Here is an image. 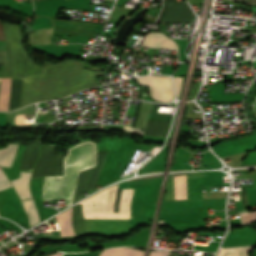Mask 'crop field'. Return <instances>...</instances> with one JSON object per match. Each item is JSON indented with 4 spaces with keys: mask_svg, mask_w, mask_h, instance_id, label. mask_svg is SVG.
Wrapping results in <instances>:
<instances>
[{
    "mask_svg": "<svg viewBox=\"0 0 256 256\" xmlns=\"http://www.w3.org/2000/svg\"><path fill=\"white\" fill-rule=\"evenodd\" d=\"M72 209L56 216L61 236L75 235L71 226Z\"/></svg>",
    "mask_w": 256,
    "mask_h": 256,
    "instance_id": "e52e79f7",
    "label": "crop field"
},
{
    "mask_svg": "<svg viewBox=\"0 0 256 256\" xmlns=\"http://www.w3.org/2000/svg\"><path fill=\"white\" fill-rule=\"evenodd\" d=\"M53 256H61V255H60V253H57V254H55V255H53Z\"/></svg>",
    "mask_w": 256,
    "mask_h": 256,
    "instance_id": "733c2abd",
    "label": "crop field"
},
{
    "mask_svg": "<svg viewBox=\"0 0 256 256\" xmlns=\"http://www.w3.org/2000/svg\"><path fill=\"white\" fill-rule=\"evenodd\" d=\"M174 81H175L176 95L178 97L179 91H180L181 82H182V77H174Z\"/></svg>",
    "mask_w": 256,
    "mask_h": 256,
    "instance_id": "cbeb9de0",
    "label": "crop field"
},
{
    "mask_svg": "<svg viewBox=\"0 0 256 256\" xmlns=\"http://www.w3.org/2000/svg\"><path fill=\"white\" fill-rule=\"evenodd\" d=\"M95 143L87 142L67 150L64 176L45 177L43 201L65 199V206L72 204L79 171L95 166Z\"/></svg>",
    "mask_w": 256,
    "mask_h": 256,
    "instance_id": "ac0d7876",
    "label": "crop field"
},
{
    "mask_svg": "<svg viewBox=\"0 0 256 256\" xmlns=\"http://www.w3.org/2000/svg\"><path fill=\"white\" fill-rule=\"evenodd\" d=\"M0 40H4L3 26L1 22H0Z\"/></svg>",
    "mask_w": 256,
    "mask_h": 256,
    "instance_id": "d9b57169",
    "label": "crop field"
},
{
    "mask_svg": "<svg viewBox=\"0 0 256 256\" xmlns=\"http://www.w3.org/2000/svg\"><path fill=\"white\" fill-rule=\"evenodd\" d=\"M140 85H148L150 96L159 102H169L173 98L171 77L145 76L136 77Z\"/></svg>",
    "mask_w": 256,
    "mask_h": 256,
    "instance_id": "34b2d1b8",
    "label": "crop field"
},
{
    "mask_svg": "<svg viewBox=\"0 0 256 256\" xmlns=\"http://www.w3.org/2000/svg\"><path fill=\"white\" fill-rule=\"evenodd\" d=\"M30 177L31 173L21 172L19 178L11 181L21 199L33 198L28 186Z\"/></svg>",
    "mask_w": 256,
    "mask_h": 256,
    "instance_id": "f4fd0767",
    "label": "crop field"
},
{
    "mask_svg": "<svg viewBox=\"0 0 256 256\" xmlns=\"http://www.w3.org/2000/svg\"><path fill=\"white\" fill-rule=\"evenodd\" d=\"M3 25L11 77H23L19 107L37 100L65 97L97 85L94 76L103 72L82 68V61L67 60L58 65L44 62L42 67L35 65L23 49L21 28L9 23Z\"/></svg>",
    "mask_w": 256,
    "mask_h": 256,
    "instance_id": "8a807250",
    "label": "crop field"
},
{
    "mask_svg": "<svg viewBox=\"0 0 256 256\" xmlns=\"http://www.w3.org/2000/svg\"><path fill=\"white\" fill-rule=\"evenodd\" d=\"M12 185L10 184L9 180L5 176V174L2 172L0 169V190L4 188L11 187Z\"/></svg>",
    "mask_w": 256,
    "mask_h": 256,
    "instance_id": "22f410ed",
    "label": "crop field"
},
{
    "mask_svg": "<svg viewBox=\"0 0 256 256\" xmlns=\"http://www.w3.org/2000/svg\"><path fill=\"white\" fill-rule=\"evenodd\" d=\"M167 251H151V256H166Z\"/></svg>",
    "mask_w": 256,
    "mask_h": 256,
    "instance_id": "5142ce71",
    "label": "crop field"
},
{
    "mask_svg": "<svg viewBox=\"0 0 256 256\" xmlns=\"http://www.w3.org/2000/svg\"><path fill=\"white\" fill-rule=\"evenodd\" d=\"M171 122L148 120L144 135L167 137Z\"/></svg>",
    "mask_w": 256,
    "mask_h": 256,
    "instance_id": "dd49c442",
    "label": "crop field"
},
{
    "mask_svg": "<svg viewBox=\"0 0 256 256\" xmlns=\"http://www.w3.org/2000/svg\"><path fill=\"white\" fill-rule=\"evenodd\" d=\"M28 215H29V219L31 222V226H34L35 224H37L38 222H40L39 217H38V213L35 207V203L33 199L30 200H24L22 201Z\"/></svg>",
    "mask_w": 256,
    "mask_h": 256,
    "instance_id": "d1516ede",
    "label": "crop field"
},
{
    "mask_svg": "<svg viewBox=\"0 0 256 256\" xmlns=\"http://www.w3.org/2000/svg\"><path fill=\"white\" fill-rule=\"evenodd\" d=\"M175 199H186V175L174 176Z\"/></svg>",
    "mask_w": 256,
    "mask_h": 256,
    "instance_id": "28ad6ade",
    "label": "crop field"
},
{
    "mask_svg": "<svg viewBox=\"0 0 256 256\" xmlns=\"http://www.w3.org/2000/svg\"><path fill=\"white\" fill-rule=\"evenodd\" d=\"M143 251L124 248L106 249L101 256H142Z\"/></svg>",
    "mask_w": 256,
    "mask_h": 256,
    "instance_id": "3316defc",
    "label": "crop field"
},
{
    "mask_svg": "<svg viewBox=\"0 0 256 256\" xmlns=\"http://www.w3.org/2000/svg\"><path fill=\"white\" fill-rule=\"evenodd\" d=\"M35 31L36 32L29 34V45L51 44L50 37L52 34V28Z\"/></svg>",
    "mask_w": 256,
    "mask_h": 256,
    "instance_id": "d8731c3e",
    "label": "crop field"
},
{
    "mask_svg": "<svg viewBox=\"0 0 256 256\" xmlns=\"http://www.w3.org/2000/svg\"><path fill=\"white\" fill-rule=\"evenodd\" d=\"M168 37V36H167ZM162 33L149 32L144 36V46L157 47V48H169L178 50L177 44L167 38Z\"/></svg>",
    "mask_w": 256,
    "mask_h": 256,
    "instance_id": "412701ff",
    "label": "crop field"
},
{
    "mask_svg": "<svg viewBox=\"0 0 256 256\" xmlns=\"http://www.w3.org/2000/svg\"><path fill=\"white\" fill-rule=\"evenodd\" d=\"M17 145L18 144H8L6 148L0 149V166H11Z\"/></svg>",
    "mask_w": 256,
    "mask_h": 256,
    "instance_id": "5a996713",
    "label": "crop field"
}]
</instances>
